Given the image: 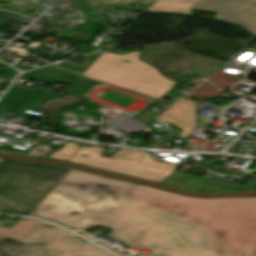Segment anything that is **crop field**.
<instances>
[{
  "label": "crop field",
  "mask_w": 256,
  "mask_h": 256,
  "mask_svg": "<svg viewBox=\"0 0 256 256\" xmlns=\"http://www.w3.org/2000/svg\"><path fill=\"white\" fill-rule=\"evenodd\" d=\"M3 237H5V236H3V235L0 234V239L3 238Z\"/></svg>",
  "instance_id": "4a817a6b"
},
{
  "label": "crop field",
  "mask_w": 256,
  "mask_h": 256,
  "mask_svg": "<svg viewBox=\"0 0 256 256\" xmlns=\"http://www.w3.org/2000/svg\"><path fill=\"white\" fill-rule=\"evenodd\" d=\"M70 170L51 164L1 160L0 212L30 214Z\"/></svg>",
  "instance_id": "34b2d1b8"
},
{
  "label": "crop field",
  "mask_w": 256,
  "mask_h": 256,
  "mask_svg": "<svg viewBox=\"0 0 256 256\" xmlns=\"http://www.w3.org/2000/svg\"><path fill=\"white\" fill-rule=\"evenodd\" d=\"M78 76V74L69 73L53 65L23 74L25 78H35L42 82L67 84H71Z\"/></svg>",
  "instance_id": "3316defc"
},
{
  "label": "crop field",
  "mask_w": 256,
  "mask_h": 256,
  "mask_svg": "<svg viewBox=\"0 0 256 256\" xmlns=\"http://www.w3.org/2000/svg\"><path fill=\"white\" fill-rule=\"evenodd\" d=\"M92 167L162 183L179 166L153 160L146 152L121 149L111 158L100 156Z\"/></svg>",
  "instance_id": "412701ff"
},
{
  "label": "crop field",
  "mask_w": 256,
  "mask_h": 256,
  "mask_svg": "<svg viewBox=\"0 0 256 256\" xmlns=\"http://www.w3.org/2000/svg\"><path fill=\"white\" fill-rule=\"evenodd\" d=\"M29 216L71 230L105 227L148 256L256 252V197L196 199L72 169Z\"/></svg>",
  "instance_id": "8a807250"
},
{
  "label": "crop field",
  "mask_w": 256,
  "mask_h": 256,
  "mask_svg": "<svg viewBox=\"0 0 256 256\" xmlns=\"http://www.w3.org/2000/svg\"><path fill=\"white\" fill-rule=\"evenodd\" d=\"M138 55L137 52L123 56L103 53L66 93L83 97L99 81L157 100L176 82L169 81L156 69L139 61ZM122 59L132 62H121Z\"/></svg>",
  "instance_id": "ac0d7876"
},
{
  "label": "crop field",
  "mask_w": 256,
  "mask_h": 256,
  "mask_svg": "<svg viewBox=\"0 0 256 256\" xmlns=\"http://www.w3.org/2000/svg\"><path fill=\"white\" fill-rule=\"evenodd\" d=\"M96 244H98L99 246H101V247H103V248H105V249H107V250H109V251H111V252H113V253H115V254H117V255H119V256H123V255H121L120 253L114 251L113 249H111V248H109V247H107V246H105V245H103V244H101V243H99V242L96 243Z\"/></svg>",
  "instance_id": "d9b57169"
},
{
  "label": "crop field",
  "mask_w": 256,
  "mask_h": 256,
  "mask_svg": "<svg viewBox=\"0 0 256 256\" xmlns=\"http://www.w3.org/2000/svg\"><path fill=\"white\" fill-rule=\"evenodd\" d=\"M105 149L104 147H80L69 161L91 166Z\"/></svg>",
  "instance_id": "d1516ede"
},
{
  "label": "crop field",
  "mask_w": 256,
  "mask_h": 256,
  "mask_svg": "<svg viewBox=\"0 0 256 256\" xmlns=\"http://www.w3.org/2000/svg\"><path fill=\"white\" fill-rule=\"evenodd\" d=\"M193 8L217 12L215 18L243 26L256 34V0H202Z\"/></svg>",
  "instance_id": "dd49c442"
},
{
  "label": "crop field",
  "mask_w": 256,
  "mask_h": 256,
  "mask_svg": "<svg viewBox=\"0 0 256 256\" xmlns=\"http://www.w3.org/2000/svg\"><path fill=\"white\" fill-rule=\"evenodd\" d=\"M75 237L61 228L39 222L22 242L47 241L53 256H112Z\"/></svg>",
  "instance_id": "f4fd0767"
},
{
  "label": "crop field",
  "mask_w": 256,
  "mask_h": 256,
  "mask_svg": "<svg viewBox=\"0 0 256 256\" xmlns=\"http://www.w3.org/2000/svg\"><path fill=\"white\" fill-rule=\"evenodd\" d=\"M99 54H93V55H87V56H83V58L86 59L87 63L84 64L83 66H76V65H71L65 62L59 63V64H55L57 66H60L62 68L68 69L70 71L76 72V73H80L82 74L92 63L93 61L100 55Z\"/></svg>",
  "instance_id": "cbeb9de0"
},
{
  "label": "crop field",
  "mask_w": 256,
  "mask_h": 256,
  "mask_svg": "<svg viewBox=\"0 0 256 256\" xmlns=\"http://www.w3.org/2000/svg\"><path fill=\"white\" fill-rule=\"evenodd\" d=\"M199 0H156L147 10L189 14V8Z\"/></svg>",
  "instance_id": "28ad6ade"
},
{
  "label": "crop field",
  "mask_w": 256,
  "mask_h": 256,
  "mask_svg": "<svg viewBox=\"0 0 256 256\" xmlns=\"http://www.w3.org/2000/svg\"><path fill=\"white\" fill-rule=\"evenodd\" d=\"M156 120L169 122L180 128L183 130L180 136L187 139L195 127V102L182 98L157 117Z\"/></svg>",
  "instance_id": "e52e79f7"
},
{
  "label": "crop field",
  "mask_w": 256,
  "mask_h": 256,
  "mask_svg": "<svg viewBox=\"0 0 256 256\" xmlns=\"http://www.w3.org/2000/svg\"><path fill=\"white\" fill-rule=\"evenodd\" d=\"M79 147L74 143L67 142L61 150L53 152L49 158L68 160Z\"/></svg>",
  "instance_id": "5142ce71"
},
{
  "label": "crop field",
  "mask_w": 256,
  "mask_h": 256,
  "mask_svg": "<svg viewBox=\"0 0 256 256\" xmlns=\"http://www.w3.org/2000/svg\"><path fill=\"white\" fill-rule=\"evenodd\" d=\"M0 256H52L47 242L21 243L11 238L0 240Z\"/></svg>",
  "instance_id": "d8731c3e"
},
{
  "label": "crop field",
  "mask_w": 256,
  "mask_h": 256,
  "mask_svg": "<svg viewBox=\"0 0 256 256\" xmlns=\"http://www.w3.org/2000/svg\"><path fill=\"white\" fill-rule=\"evenodd\" d=\"M79 232H81V231H77L76 233H79ZM80 235V234H79ZM81 236H83V237H85V238H87V239H91V237H89V236H87V235H85V234H82Z\"/></svg>",
  "instance_id": "733c2abd"
},
{
  "label": "crop field",
  "mask_w": 256,
  "mask_h": 256,
  "mask_svg": "<svg viewBox=\"0 0 256 256\" xmlns=\"http://www.w3.org/2000/svg\"><path fill=\"white\" fill-rule=\"evenodd\" d=\"M0 160H1V158H0Z\"/></svg>",
  "instance_id": "bc2a9ffb"
},
{
  "label": "crop field",
  "mask_w": 256,
  "mask_h": 256,
  "mask_svg": "<svg viewBox=\"0 0 256 256\" xmlns=\"http://www.w3.org/2000/svg\"><path fill=\"white\" fill-rule=\"evenodd\" d=\"M43 90L27 91L17 87H12L5 97L0 101V107L6 106L17 110L23 107L36 106L44 98L40 95Z\"/></svg>",
  "instance_id": "5a996713"
},
{
  "label": "crop field",
  "mask_w": 256,
  "mask_h": 256,
  "mask_svg": "<svg viewBox=\"0 0 256 256\" xmlns=\"http://www.w3.org/2000/svg\"><path fill=\"white\" fill-rule=\"evenodd\" d=\"M37 223L38 221L30 219H27L26 221L20 220L11 229L0 227V233L21 241Z\"/></svg>",
  "instance_id": "22f410ed"
}]
</instances>
